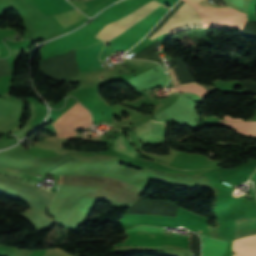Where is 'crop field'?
Masks as SVG:
<instances>
[{
    "mask_svg": "<svg viewBox=\"0 0 256 256\" xmlns=\"http://www.w3.org/2000/svg\"><path fill=\"white\" fill-rule=\"evenodd\" d=\"M193 6L203 23L207 27H223L243 29L246 23V14L229 6H216L208 0H184Z\"/></svg>",
    "mask_w": 256,
    "mask_h": 256,
    "instance_id": "8a807250",
    "label": "crop field"
},
{
    "mask_svg": "<svg viewBox=\"0 0 256 256\" xmlns=\"http://www.w3.org/2000/svg\"><path fill=\"white\" fill-rule=\"evenodd\" d=\"M201 27L196 10L184 3L149 39L152 40L166 32L172 35L179 31Z\"/></svg>",
    "mask_w": 256,
    "mask_h": 256,
    "instance_id": "ac0d7876",
    "label": "crop field"
},
{
    "mask_svg": "<svg viewBox=\"0 0 256 256\" xmlns=\"http://www.w3.org/2000/svg\"><path fill=\"white\" fill-rule=\"evenodd\" d=\"M158 5L160 4H158L156 1H150L131 14L106 25L95 37L106 42L110 41L112 38L131 26L137 20L156 8Z\"/></svg>",
    "mask_w": 256,
    "mask_h": 256,
    "instance_id": "34b2d1b8",
    "label": "crop field"
},
{
    "mask_svg": "<svg viewBox=\"0 0 256 256\" xmlns=\"http://www.w3.org/2000/svg\"><path fill=\"white\" fill-rule=\"evenodd\" d=\"M135 129L142 142L163 143L165 123L149 121L142 126H136Z\"/></svg>",
    "mask_w": 256,
    "mask_h": 256,
    "instance_id": "412701ff",
    "label": "crop field"
},
{
    "mask_svg": "<svg viewBox=\"0 0 256 256\" xmlns=\"http://www.w3.org/2000/svg\"><path fill=\"white\" fill-rule=\"evenodd\" d=\"M38 7V9L45 15H53L57 13H63L65 11H69L75 7L67 3L65 0H51L52 3L58 8V11L56 7L51 3L50 0H33Z\"/></svg>",
    "mask_w": 256,
    "mask_h": 256,
    "instance_id": "f4fd0767",
    "label": "crop field"
},
{
    "mask_svg": "<svg viewBox=\"0 0 256 256\" xmlns=\"http://www.w3.org/2000/svg\"><path fill=\"white\" fill-rule=\"evenodd\" d=\"M202 238V256H222L227 248L228 241L217 240L205 236Z\"/></svg>",
    "mask_w": 256,
    "mask_h": 256,
    "instance_id": "dd49c442",
    "label": "crop field"
},
{
    "mask_svg": "<svg viewBox=\"0 0 256 256\" xmlns=\"http://www.w3.org/2000/svg\"><path fill=\"white\" fill-rule=\"evenodd\" d=\"M233 256H256V235L233 241Z\"/></svg>",
    "mask_w": 256,
    "mask_h": 256,
    "instance_id": "e52e79f7",
    "label": "crop field"
},
{
    "mask_svg": "<svg viewBox=\"0 0 256 256\" xmlns=\"http://www.w3.org/2000/svg\"><path fill=\"white\" fill-rule=\"evenodd\" d=\"M256 234V218L236 220L234 239Z\"/></svg>",
    "mask_w": 256,
    "mask_h": 256,
    "instance_id": "d8731c3e",
    "label": "crop field"
},
{
    "mask_svg": "<svg viewBox=\"0 0 256 256\" xmlns=\"http://www.w3.org/2000/svg\"><path fill=\"white\" fill-rule=\"evenodd\" d=\"M104 43H98L86 48H83L85 57H86V61L89 67L90 71H96V70H100L102 69V67L100 66V63L97 59V56L102 48Z\"/></svg>",
    "mask_w": 256,
    "mask_h": 256,
    "instance_id": "5a996713",
    "label": "crop field"
},
{
    "mask_svg": "<svg viewBox=\"0 0 256 256\" xmlns=\"http://www.w3.org/2000/svg\"><path fill=\"white\" fill-rule=\"evenodd\" d=\"M219 125L229 126L241 135L254 137L256 136V122H224L220 121Z\"/></svg>",
    "mask_w": 256,
    "mask_h": 256,
    "instance_id": "3316defc",
    "label": "crop field"
},
{
    "mask_svg": "<svg viewBox=\"0 0 256 256\" xmlns=\"http://www.w3.org/2000/svg\"><path fill=\"white\" fill-rule=\"evenodd\" d=\"M114 150L124 153L126 155H129L131 157H135L136 153L134 152L133 148L130 146V144L126 141V139L121 136L118 138H115L114 140Z\"/></svg>",
    "mask_w": 256,
    "mask_h": 256,
    "instance_id": "28ad6ade",
    "label": "crop field"
},
{
    "mask_svg": "<svg viewBox=\"0 0 256 256\" xmlns=\"http://www.w3.org/2000/svg\"><path fill=\"white\" fill-rule=\"evenodd\" d=\"M177 91H187V92H194L197 93L198 95H200L202 98L208 94L207 90L202 87V86H185V87H181V88H177V89H173V92H177Z\"/></svg>",
    "mask_w": 256,
    "mask_h": 256,
    "instance_id": "d1516ede",
    "label": "crop field"
},
{
    "mask_svg": "<svg viewBox=\"0 0 256 256\" xmlns=\"http://www.w3.org/2000/svg\"><path fill=\"white\" fill-rule=\"evenodd\" d=\"M138 230H147V231H152V232H163L164 229L154 228V227H150V226H137V227L125 230V231L128 232V231H138Z\"/></svg>",
    "mask_w": 256,
    "mask_h": 256,
    "instance_id": "22f410ed",
    "label": "crop field"
},
{
    "mask_svg": "<svg viewBox=\"0 0 256 256\" xmlns=\"http://www.w3.org/2000/svg\"><path fill=\"white\" fill-rule=\"evenodd\" d=\"M224 119H225L226 121H243L242 119H232V118L229 117V116L224 117Z\"/></svg>",
    "mask_w": 256,
    "mask_h": 256,
    "instance_id": "cbeb9de0",
    "label": "crop field"
},
{
    "mask_svg": "<svg viewBox=\"0 0 256 256\" xmlns=\"http://www.w3.org/2000/svg\"><path fill=\"white\" fill-rule=\"evenodd\" d=\"M63 177H64V176H60L58 184H61V183H62Z\"/></svg>",
    "mask_w": 256,
    "mask_h": 256,
    "instance_id": "5142ce71",
    "label": "crop field"
},
{
    "mask_svg": "<svg viewBox=\"0 0 256 256\" xmlns=\"http://www.w3.org/2000/svg\"><path fill=\"white\" fill-rule=\"evenodd\" d=\"M76 135H78V134L75 133V134H73L71 137L76 136Z\"/></svg>",
    "mask_w": 256,
    "mask_h": 256,
    "instance_id": "d9b57169",
    "label": "crop field"
},
{
    "mask_svg": "<svg viewBox=\"0 0 256 256\" xmlns=\"http://www.w3.org/2000/svg\"><path fill=\"white\" fill-rule=\"evenodd\" d=\"M190 241V240H189Z\"/></svg>",
    "mask_w": 256,
    "mask_h": 256,
    "instance_id": "733c2abd",
    "label": "crop field"
}]
</instances>
